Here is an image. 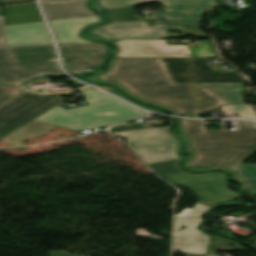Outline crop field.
<instances>
[{
    "instance_id": "obj_1",
    "label": "crop field",
    "mask_w": 256,
    "mask_h": 256,
    "mask_svg": "<svg viewBox=\"0 0 256 256\" xmlns=\"http://www.w3.org/2000/svg\"><path fill=\"white\" fill-rule=\"evenodd\" d=\"M168 70V69H167ZM160 58H119L114 69L99 77L124 84L136 95L193 115L224 103L198 83H175Z\"/></svg>"
},
{
    "instance_id": "obj_2",
    "label": "crop field",
    "mask_w": 256,
    "mask_h": 256,
    "mask_svg": "<svg viewBox=\"0 0 256 256\" xmlns=\"http://www.w3.org/2000/svg\"><path fill=\"white\" fill-rule=\"evenodd\" d=\"M236 130L206 131L205 121L185 120V132L198 155L191 166L203 168L224 166L236 170L256 153V124L232 121Z\"/></svg>"
},
{
    "instance_id": "obj_3",
    "label": "crop field",
    "mask_w": 256,
    "mask_h": 256,
    "mask_svg": "<svg viewBox=\"0 0 256 256\" xmlns=\"http://www.w3.org/2000/svg\"><path fill=\"white\" fill-rule=\"evenodd\" d=\"M82 94L90 105L68 110L57 105L35 120L81 131L120 124L146 116L145 112L97 90ZM101 114L106 115L101 116Z\"/></svg>"
},
{
    "instance_id": "obj_4",
    "label": "crop field",
    "mask_w": 256,
    "mask_h": 256,
    "mask_svg": "<svg viewBox=\"0 0 256 256\" xmlns=\"http://www.w3.org/2000/svg\"><path fill=\"white\" fill-rule=\"evenodd\" d=\"M169 126L147 128L143 124L124 125L110 129L118 137L127 139L148 165L159 175L180 173L176 165L179 142L168 132Z\"/></svg>"
},
{
    "instance_id": "obj_5",
    "label": "crop field",
    "mask_w": 256,
    "mask_h": 256,
    "mask_svg": "<svg viewBox=\"0 0 256 256\" xmlns=\"http://www.w3.org/2000/svg\"><path fill=\"white\" fill-rule=\"evenodd\" d=\"M29 69L65 76L57 66L53 46L0 49V84L19 85L38 76Z\"/></svg>"
},
{
    "instance_id": "obj_6",
    "label": "crop field",
    "mask_w": 256,
    "mask_h": 256,
    "mask_svg": "<svg viewBox=\"0 0 256 256\" xmlns=\"http://www.w3.org/2000/svg\"><path fill=\"white\" fill-rule=\"evenodd\" d=\"M168 182L190 189L199 200L193 209L186 208L176 217L204 216L210 209L200 203L218 202L237 198L236 193L226 189L227 181L223 174L208 173L191 176L180 173L163 177Z\"/></svg>"
},
{
    "instance_id": "obj_7",
    "label": "crop field",
    "mask_w": 256,
    "mask_h": 256,
    "mask_svg": "<svg viewBox=\"0 0 256 256\" xmlns=\"http://www.w3.org/2000/svg\"><path fill=\"white\" fill-rule=\"evenodd\" d=\"M63 95L67 94L41 95L29 92L0 106V140L63 102L65 98H57Z\"/></svg>"
},
{
    "instance_id": "obj_8",
    "label": "crop field",
    "mask_w": 256,
    "mask_h": 256,
    "mask_svg": "<svg viewBox=\"0 0 256 256\" xmlns=\"http://www.w3.org/2000/svg\"><path fill=\"white\" fill-rule=\"evenodd\" d=\"M175 82H247L241 73H216L200 58H162Z\"/></svg>"
},
{
    "instance_id": "obj_9",
    "label": "crop field",
    "mask_w": 256,
    "mask_h": 256,
    "mask_svg": "<svg viewBox=\"0 0 256 256\" xmlns=\"http://www.w3.org/2000/svg\"><path fill=\"white\" fill-rule=\"evenodd\" d=\"M63 65L70 74L97 71L110 48L104 44L59 45Z\"/></svg>"
},
{
    "instance_id": "obj_10",
    "label": "crop field",
    "mask_w": 256,
    "mask_h": 256,
    "mask_svg": "<svg viewBox=\"0 0 256 256\" xmlns=\"http://www.w3.org/2000/svg\"><path fill=\"white\" fill-rule=\"evenodd\" d=\"M119 51L115 57H185L186 45L166 46V40H125L113 42Z\"/></svg>"
},
{
    "instance_id": "obj_11",
    "label": "crop field",
    "mask_w": 256,
    "mask_h": 256,
    "mask_svg": "<svg viewBox=\"0 0 256 256\" xmlns=\"http://www.w3.org/2000/svg\"><path fill=\"white\" fill-rule=\"evenodd\" d=\"M105 40L166 38V24L148 26L145 21L110 23L91 30Z\"/></svg>"
},
{
    "instance_id": "obj_12",
    "label": "crop field",
    "mask_w": 256,
    "mask_h": 256,
    "mask_svg": "<svg viewBox=\"0 0 256 256\" xmlns=\"http://www.w3.org/2000/svg\"><path fill=\"white\" fill-rule=\"evenodd\" d=\"M202 217L176 218L174 230V251L205 254L210 236L201 233L197 227ZM187 226V229L180 227ZM177 230H181L177 232Z\"/></svg>"
},
{
    "instance_id": "obj_13",
    "label": "crop field",
    "mask_w": 256,
    "mask_h": 256,
    "mask_svg": "<svg viewBox=\"0 0 256 256\" xmlns=\"http://www.w3.org/2000/svg\"><path fill=\"white\" fill-rule=\"evenodd\" d=\"M104 9L133 7L136 4L158 1L167 6L165 11L198 13L209 8L215 0H98Z\"/></svg>"
},
{
    "instance_id": "obj_14",
    "label": "crop field",
    "mask_w": 256,
    "mask_h": 256,
    "mask_svg": "<svg viewBox=\"0 0 256 256\" xmlns=\"http://www.w3.org/2000/svg\"><path fill=\"white\" fill-rule=\"evenodd\" d=\"M5 33L8 46L53 43L43 22L5 26Z\"/></svg>"
},
{
    "instance_id": "obj_15",
    "label": "crop field",
    "mask_w": 256,
    "mask_h": 256,
    "mask_svg": "<svg viewBox=\"0 0 256 256\" xmlns=\"http://www.w3.org/2000/svg\"><path fill=\"white\" fill-rule=\"evenodd\" d=\"M102 21L98 16L53 20L49 21L59 44H81V43H95L82 39L78 36L79 31L88 24Z\"/></svg>"
},
{
    "instance_id": "obj_16",
    "label": "crop field",
    "mask_w": 256,
    "mask_h": 256,
    "mask_svg": "<svg viewBox=\"0 0 256 256\" xmlns=\"http://www.w3.org/2000/svg\"><path fill=\"white\" fill-rule=\"evenodd\" d=\"M74 0H41L48 20L95 15L86 8V1L62 4Z\"/></svg>"
},
{
    "instance_id": "obj_17",
    "label": "crop field",
    "mask_w": 256,
    "mask_h": 256,
    "mask_svg": "<svg viewBox=\"0 0 256 256\" xmlns=\"http://www.w3.org/2000/svg\"><path fill=\"white\" fill-rule=\"evenodd\" d=\"M43 21L36 3L5 6V25Z\"/></svg>"
},
{
    "instance_id": "obj_18",
    "label": "crop field",
    "mask_w": 256,
    "mask_h": 256,
    "mask_svg": "<svg viewBox=\"0 0 256 256\" xmlns=\"http://www.w3.org/2000/svg\"><path fill=\"white\" fill-rule=\"evenodd\" d=\"M205 89L218 96L225 104H243L242 83H199Z\"/></svg>"
},
{
    "instance_id": "obj_19",
    "label": "crop field",
    "mask_w": 256,
    "mask_h": 256,
    "mask_svg": "<svg viewBox=\"0 0 256 256\" xmlns=\"http://www.w3.org/2000/svg\"><path fill=\"white\" fill-rule=\"evenodd\" d=\"M55 127L56 126L50 124L32 121L29 124L22 127L21 129L14 132L13 134L6 137L2 141H5L13 145H19L31 137L35 138L42 136Z\"/></svg>"
},
{
    "instance_id": "obj_20",
    "label": "crop field",
    "mask_w": 256,
    "mask_h": 256,
    "mask_svg": "<svg viewBox=\"0 0 256 256\" xmlns=\"http://www.w3.org/2000/svg\"><path fill=\"white\" fill-rule=\"evenodd\" d=\"M157 17L169 21L199 23L201 22L203 15L164 12L161 15H157Z\"/></svg>"
},
{
    "instance_id": "obj_21",
    "label": "crop field",
    "mask_w": 256,
    "mask_h": 256,
    "mask_svg": "<svg viewBox=\"0 0 256 256\" xmlns=\"http://www.w3.org/2000/svg\"><path fill=\"white\" fill-rule=\"evenodd\" d=\"M107 11L112 15V22L143 20L142 17L132 11V8L111 9Z\"/></svg>"
},
{
    "instance_id": "obj_22",
    "label": "crop field",
    "mask_w": 256,
    "mask_h": 256,
    "mask_svg": "<svg viewBox=\"0 0 256 256\" xmlns=\"http://www.w3.org/2000/svg\"><path fill=\"white\" fill-rule=\"evenodd\" d=\"M172 28L182 29L183 33L182 34H176V33L167 34V38L184 37L187 34H194L199 38H207V36L202 33L199 26L182 25V24L167 26V29H172Z\"/></svg>"
},
{
    "instance_id": "obj_23",
    "label": "crop field",
    "mask_w": 256,
    "mask_h": 256,
    "mask_svg": "<svg viewBox=\"0 0 256 256\" xmlns=\"http://www.w3.org/2000/svg\"><path fill=\"white\" fill-rule=\"evenodd\" d=\"M237 170L240 176L247 181L249 187L256 192V164L241 165Z\"/></svg>"
},
{
    "instance_id": "obj_24",
    "label": "crop field",
    "mask_w": 256,
    "mask_h": 256,
    "mask_svg": "<svg viewBox=\"0 0 256 256\" xmlns=\"http://www.w3.org/2000/svg\"><path fill=\"white\" fill-rule=\"evenodd\" d=\"M116 60H117V58H115V59L112 60L111 65H110V67H109V69H108L107 71L102 72V73H100V74H97V75H95V76H89L87 80L93 79V80L96 81V82L110 83V82H107V81H104V80L98 78V76L101 75V74H104V73H106V72L111 71L112 68H113V66H114V64H115V62H116ZM110 84L118 85L120 88H122L124 91H126L128 94H130L131 96H133L134 98H136V99H138V100H142V101H145V102H148V103H153V104H156V105L165 107V108H167V109L173 111L175 114H179V113H178L175 109H173V108H170V107H168V106H165V105H162V104H158V103H155V102L146 101V100H144V99H142V98H140V97H138V96L132 94V93H131L124 85H122V84H119V83H110Z\"/></svg>"
},
{
    "instance_id": "obj_25",
    "label": "crop field",
    "mask_w": 256,
    "mask_h": 256,
    "mask_svg": "<svg viewBox=\"0 0 256 256\" xmlns=\"http://www.w3.org/2000/svg\"><path fill=\"white\" fill-rule=\"evenodd\" d=\"M178 125H179V132L181 133V135L184 137V139L188 143V151H190L192 154L191 159L184 163V167H187V168H190V169H193L196 171L206 170V169H210V168H221V169H226V170L230 171L231 173L234 172V171L224 168V167H209V168H204V169H196V168L189 166L188 164L191 163L193 160H195L197 156L192 149V142H191L190 138L184 133V125H183V121L181 119H178Z\"/></svg>"
},
{
    "instance_id": "obj_26",
    "label": "crop field",
    "mask_w": 256,
    "mask_h": 256,
    "mask_svg": "<svg viewBox=\"0 0 256 256\" xmlns=\"http://www.w3.org/2000/svg\"><path fill=\"white\" fill-rule=\"evenodd\" d=\"M230 244H234L235 246H237L235 249H243L242 246L236 243L221 238L213 237L209 247L208 254H215V250H234L229 247Z\"/></svg>"
},
{
    "instance_id": "obj_27",
    "label": "crop field",
    "mask_w": 256,
    "mask_h": 256,
    "mask_svg": "<svg viewBox=\"0 0 256 256\" xmlns=\"http://www.w3.org/2000/svg\"><path fill=\"white\" fill-rule=\"evenodd\" d=\"M231 113H239V117L256 119V113L252 105H226Z\"/></svg>"
},
{
    "instance_id": "obj_28",
    "label": "crop field",
    "mask_w": 256,
    "mask_h": 256,
    "mask_svg": "<svg viewBox=\"0 0 256 256\" xmlns=\"http://www.w3.org/2000/svg\"><path fill=\"white\" fill-rule=\"evenodd\" d=\"M22 88L0 85V104L21 92Z\"/></svg>"
},
{
    "instance_id": "obj_29",
    "label": "crop field",
    "mask_w": 256,
    "mask_h": 256,
    "mask_svg": "<svg viewBox=\"0 0 256 256\" xmlns=\"http://www.w3.org/2000/svg\"><path fill=\"white\" fill-rule=\"evenodd\" d=\"M234 176H235V179L239 180V181L242 183L243 186L240 187L241 189L247 190V191L250 193V195H251L252 197H253L254 195H256V193H255L252 189H250V188L247 186V183L238 175L237 171H235Z\"/></svg>"
},
{
    "instance_id": "obj_30",
    "label": "crop field",
    "mask_w": 256,
    "mask_h": 256,
    "mask_svg": "<svg viewBox=\"0 0 256 256\" xmlns=\"http://www.w3.org/2000/svg\"><path fill=\"white\" fill-rule=\"evenodd\" d=\"M137 236H147V237H151V238H156V239H160L163 240V238L161 237H157V236H153L150 235L147 231H145L144 229H138L136 230Z\"/></svg>"
},
{
    "instance_id": "obj_31",
    "label": "crop field",
    "mask_w": 256,
    "mask_h": 256,
    "mask_svg": "<svg viewBox=\"0 0 256 256\" xmlns=\"http://www.w3.org/2000/svg\"><path fill=\"white\" fill-rule=\"evenodd\" d=\"M5 46L4 42V32H3V21L2 16H0V47Z\"/></svg>"
},
{
    "instance_id": "obj_32",
    "label": "crop field",
    "mask_w": 256,
    "mask_h": 256,
    "mask_svg": "<svg viewBox=\"0 0 256 256\" xmlns=\"http://www.w3.org/2000/svg\"><path fill=\"white\" fill-rule=\"evenodd\" d=\"M50 256H80L76 254H71L63 251H55V252H49Z\"/></svg>"
},
{
    "instance_id": "obj_33",
    "label": "crop field",
    "mask_w": 256,
    "mask_h": 256,
    "mask_svg": "<svg viewBox=\"0 0 256 256\" xmlns=\"http://www.w3.org/2000/svg\"><path fill=\"white\" fill-rule=\"evenodd\" d=\"M34 0H4L5 4H13V3H21V2H29Z\"/></svg>"
},
{
    "instance_id": "obj_34",
    "label": "crop field",
    "mask_w": 256,
    "mask_h": 256,
    "mask_svg": "<svg viewBox=\"0 0 256 256\" xmlns=\"http://www.w3.org/2000/svg\"><path fill=\"white\" fill-rule=\"evenodd\" d=\"M221 109H222L224 114H229L230 113V111L227 109L226 106H223Z\"/></svg>"
},
{
    "instance_id": "obj_35",
    "label": "crop field",
    "mask_w": 256,
    "mask_h": 256,
    "mask_svg": "<svg viewBox=\"0 0 256 256\" xmlns=\"http://www.w3.org/2000/svg\"><path fill=\"white\" fill-rule=\"evenodd\" d=\"M181 254H184V253H181ZM187 256H204V255H194V254H185Z\"/></svg>"
},
{
    "instance_id": "obj_36",
    "label": "crop field",
    "mask_w": 256,
    "mask_h": 256,
    "mask_svg": "<svg viewBox=\"0 0 256 256\" xmlns=\"http://www.w3.org/2000/svg\"><path fill=\"white\" fill-rule=\"evenodd\" d=\"M0 4H1V5L3 4V1H2V0H0Z\"/></svg>"
},
{
    "instance_id": "obj_37",
    "label": "crop field",
    "mask_w": 256,
    "mask_h": 256,
    "mask_svg": "<svg viewBox=\"0 0 256 256\" xmlns=\"http://www.w3.org/2000/svg\"><path fill=\"white\" fill-rule=\"evenodd\" d=\"M74 2H76V1H74ZM68 3H70V2H68Z\"/></svg>"
}]
</instances>
